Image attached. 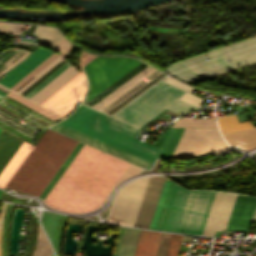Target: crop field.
I'll return each instance as SVG.
<instances>
[{
  "instance_id": "obj_31",
  "label": "crop field",
  "mask_w": 256,
  "mask_h": 256,
  "mask_svg": "<svg viewBox=\"0 0 256 256\" xmlns=\"http://www.w3.org/2000/svg\"><path fill=\"white\" fill-rule=\"evenodd\" d=\"M172 234L163 233L156 256H166Z\"/></svg>"
},
{
  "instance_id": "obj_20",
  "label": "crop field",
  "mask_w": 256,
  "mask_h": 256,
  "mask_svg": "<svg viewBox=\"0 0 256 256\" xmlns=\"http://www.w3.org/2000/svg\"><path fill=\"white\" fill-rule=\"evenodd\" d=\"M22 140L12 134L2 131L0 134V172L15 153Z\"/></svg>"
},
{
  "instance_id": "obj_39",
  "label": "crop field",
  "mask_w": 256,
  "mask_h": 256,
  "mask_svg": "<svg viewBox=\"0 0 256 256\" xmlns=\"http://www.w3.org/2000/svg\"><path fill=\"white\" fill-rule=\"evenodd\" d=\"M1 130H2V129L0 128V132H1Z\"/></svg>"
},
{
  "instance_id": "obj_29",
  "label": "crop field",
  "mask_w": 256,
  "mask_h": 256,
  "mask_svg": "<svg viewBox=\"0 0 256 256\" xmlns=\"http://www.w3.org/2000/svg\"><path fill=\"white\" fill-rule=\"evenodd\" d=\"M24 27V24H8L0 22V33L19 36Z\"/></svg>"
},
{
  "instance_id": "obj_4",
  "label": "crop field",
  "mask_w": 256,
  "mask_h": 256,
  "mask_svg": "<svg viewBox=\"0 0 256 256\" xmlns=\"http://www.w3.org/2000/svg\"><path fill=\"white\" fill-rule=\"evenodd\" d=\"M255 61L256 36L169 65L166 70L191 83Z\"/></svg>"
},
{
  "instance_id": "obj_9",
  "label": "crop field",
  "mask_w": 256,
  "mask_h": 256,
  "mask_svg": "<svg viewBox=\"0 0 256 256\" xmlns=\"http://www.w3.org/2000/svg\"><path fill=\"white\" fill-rule=\"evenodd\" d=\"M256 198L237 195L226 230L248 232Z\"/></svg>"
},
{
  "instance_id": "obj_17",
  "label": "crop field",
  "mask_w": 256,
  "mask_h": 256,
  "mask_svg": "<svg viewBox=\"0 0 256 256\" xmlns=\"http://www.w3.org/2000/svg\"><path fill=\"white\" fill-rule=\"evenodd\" d=\"M162 233L141 230L134 256H155Z\"/></svg>"
},
{
  "instance_id": "obj_11",
  "label": "crop field",
  "mask_w": 256,
  "mask_h": 256,
  "mask_svg": "<svg viewBox=\"0 0 256 256\" xmlns=\"http://www.w3.org/2000/svg\"><path fill=\"white\" fill-rule=\"evenodd\" d=\"M51 54H53V52L49 49L38 47L7 74H5L0 79V83L10 88Z\"/></svg>"
},
{
  "instance_id": "obj_15",
  "label": "crop field",
  "mask_w": 256,
  "mask_h": 256,
  "mask_svg": "<svg viewBox=\"0 0 256 256\" xmlns=\"http://www.w3.org/2000/svg\"><path fill=\"white\" fill-rule=\"evenodd\" d=\"M33 146L24 142L20 145L16 153L13 155L9 163L6 165L4 170L0 174V187L4 189L9 180L12 178L14 173L17 171L19 166L28 156Z\"/></svg>"
},
{
  "instance_id": "obj_33",
  "label": "crop field",
  "mask_w": 256,
  "mask_h": 256,
  "mask_svg": "<svg viewBox=\"0 0 256 256\" xmlns=\"http://www.w3.org/2000/svg\"><path fill=\"white\" fill-rule=\"evenodd\" d=\"M180 99L187 101L189 103H192L198 107H200L201 104L204 102L200 98L196 97L195 95H193L189 92H186Z\"/></svg>"
},
{
  "instance_id": "obj_1",
  "label": "crop field",
  "mask_w": 256,
  "mask_h": 256,
  "mask_svg": "<svg viewBox=\"0 0 256 256\" xmlns=\"http://www.w3.org/2000/svg\"><path fill=\"white\" fill-rule=\"evenodd\" d=\"M140 170L84 144L43 201L58 210L90 212L102 205L115 185Z\"/></svg>"
},
{
  "instance_id": "obj_37",
  "label": "crop field",
  "mask_w": 256,
  "mask_h": 256,
  "mask_svg": "<svg viewBox=\"0 0 256 256\" xmlns=\"http://www.w3.org/2000/svg\"><path fill=\"white\" fill-rule=\"evenodd\" d=\"M0 94L4 96L6 93H4V92L0 91Z\"/></svg>"
},
{
  "instance_id": "obj_32",
  "label": "crop field",
  "mask_w": 256,
  "mask_h": 256,
  "mask_svg": "<svg viewBox=\"0 0 256 256\" xmlns=\"http://www.w3.org/2000/svg\"><path fill=\"white\" fill-rule=\"evenodd\" d=\"M62 58L61 55L59 57H57L53 62H51L48 66H46L43 70H41L37 75H35L36 77L31 80L27 85H25L21 90H19L17 93H21L22 91H24L28 86H30L34 81H36L40 76H42L46 71H48L52 66H54L58 61H60Z\"/></svg>"
},
{
  "instance_id": "obj_38",
  "label": "crop field",
  "mask_w": 256,
  "mask_h": 256,
  "mask_svg": "<svg viewBox=\"0 0 256 256\" xmlns=\"http://www.w3.org/2000/svg\"><path fill=\"white\" fill-rule=\"evenodd\" d=\"M3 96L0 95V98H2Z\"/></svg>"
},
{
  "instance_id": "obj_36",
  "label": "crop field",
  "mask_w": 256,
  "mask_h": 256,
  "mask_svg": "<svg viewBox=\"0 0 256 256\" xmlns=\"http://www.w3.org/2000/svg\"><path fill=\"white\" fill-rule=\"evenodd\" d=\"M252 222H256V208H255V213H254V217H253V221Z\"/></svg>"
},
{
  "instance_id": "obj_6",
  "label": "crop field",
  "mask_w": 256,
  "mask_h": 256,
  "mask_svg": "<svg viewBox=\"0 0 256 256\" xmlns=\"http://www.w3.org/2000/svg\"><path fill=\"white\" fill-rule=\"evenodd\" d=\"M213 191H187L178 186L164 230L202 234Z\"/></svg>"
},
{
  "instance_id": "obj_28",
  "label": "crop field",
  "mask_w": 256,
  "mask_h": 256,
  "mask_svg": "<svg viewBox=\"0 0 256 256\" xmlns=\"http://www.w3.org/2000/svg\"><path fill=\"white\" fill-rule=\"evenodd\" d=\"M52 249L48 243V240L40 226L37 247L34 256H51Z\"/></svg>"
},
{
  "instance_id": "obj_35",
  "label": "crop field",
  "mask_w": 256,
  "mask_h": 256,
  "mask_svg": "<svg viewBox=\"0 0 256 256\" xmlns=\"http://www.w3.org/2000/svg\"><path fill=\"white\" fill-rule=\"evenodd\" d=\"M5 204H3V208H2V212H1V216H0V236H1V224H2V216H3V212H4V208H5Z\"/></svg>"
},
{
  "instance_id": "obj_5",
  "label": "crop field",
  "mask_w": 256,
  "mask_h": 256,
  "mask_svg": "<svg viewBox=\"0 0 256 256\" xmlns=\"http://www.w3.org/2000/svg\"><path fill=\"white\" fill-rule=\"evenodd\" d=\"M184 93L185 91L163 82L159 87L154 86L136 98L113 117L141 127L165 108L183 114L196 107L178 99Z\"/></svg>"
},
{
  "instance_id": "obj_27",
  "label": "crop field",
  "mask_w": 256,
  "mask_h": 256,
  "mask_svg": "<svg viewBox=\"0 0 256 256\" xmlns=\"http://www.w3.org/2000/svg\"><path fill=\"white\" fill-rule=\"evenodd\" d=\"M172 126L217 127L214 119H189V118H181Z\"/></svg>"
},
{
  "instance_id": "obj_23",
  "label": "crop field",
  "mask_w": 256,
  "mask_h": 256,
  "mask_svg": "<svg viewBox=\"0 0 256 256\" xmlns=\"http://www.w3.org/2000/svg\"><path fill=\"white\" fill-rule=\"evenodd\" d=\"M184 128H172L158 157L169 159Z\"/></svg>"
},
{
  "instance_id": "obj_26",
  "label": "crop field",
  "mask_w": 256,
  "mask_h": 256,
  "mask_svg": "<svg viewBox=\"0 0 256 256\" xmlns=\"http://www.w3.org/2000/svg\"><path fill=\"white\" fill-rule=\"evenodd\" d=\"M7 96H9V97L19 101L20 103L30 107L31 109H33V110L43 114L44 116H46V117H48V118H50V119H52L54 121H56L59 118H61V117H59V116H57V115H55V114L45 110L44 108H42V107H40V106L30 102L29 100H27V99H25V98L15 94L13 92H10Z\"/></svg>"
},
{
  "instance_id": "obj_10",
  "label": "crop field",
  "mask_w": 256,
  "mask_h": 256,
  "mask_svg": "<svg viewBox=\"0 0 256 256\" xmlns=\"http://www.w3.org/2000/svg\"><path fill=\"white\" fill-rule=\"evenodd\" d=\"M164 179L150 178L133 226L148 228Z\"/></svg>"
},
{
  "instance_id": "obj_24",
  "label": "crop field",
  "mask_w": 256,
  "mask_h": 256,
  "mask_svg": "<svg viewBox=\"0 0 256 256\" xmlns=\"http://www.w3.org/2000/svg\"><path fill=\"white\" fill-rule=\"evenodd\" d=\"M58 218H59V214L57 213L42 211L41 222L52 244L54 240V234H55Z\"/></svg>"
},
{
  "instance_id": "obj_3",
  "label": "crop field",
  "mask_w": 256,
  "mask_h": 256,
  "mask_svg": "<svg viewBox=\"0 0 256 256\" xmlns=\"http://www.w3.org/2000/svg\"><path fill=\"white\" fill-rule=\"evenodd\" d=\"M76 144L77 141L47 129L5 190L39 197Z\"/></svg>"
},
{
  "instance_id": "obj_30",
  "label": "crop field",
  "mask_w": 256,
  "mask_h": 256,
  "mask_svg": "<svg viewBox=\"0 0 256 256\" xmlns=\"http://www.w3.org/2000/svg\"><path fill=\"white\" fill-rule=\"evenodd\" d=\"M71 63L67 62L64 64L60 69H58L55 73H53L50 77H48L44 82H42L39 86H37L34 90H32L28 95H26V98L32 97L36 92H38L41 88H43L47 83H49L52 79H54L58 74H60L63 70H65Z\"/></svg>"
},
{
  "instance_id": "obj_19",
  "label": "crop field",
  "mask_w": 256,
  "mask_h": 256,
  "mask_svg": "<svg viewBox=\"0 0 256 256\" xmlns=\"http://www.w3.org/2000/svg\"><path fill=\"white\" fill-rule=\"evenodd\" d=\"M85 90L86 86H84V83L80 84L77 88H75L49 110L53 111L61 117L67 115L77 104L76 102H81Z\"/></svg>"
},
{
  "instance_id": "obj_14",
  "label": "crop field",
  "mask_w": 256,
  "mask_h": 256,
  "mask_svg": "<svg viewBox=\"0 0 256 256\" xmlns=\"http://www.w3.org/2000/svg\"><path fill=\"white\" fill-rule=\"evenodd\" d=\"M207 130L186 128L172 157L194 158Z\"/></svg>"
},
{
  "instance_id": "obj_21",
  "label": "crop field",
  "mask_w": 256,
  "mask_h": 256,
  "mask_svg": "<svg viewBox=\"0 0 256 256\" xmlns=\"http://www.w3.org/2000/svg\"><path fill=\"white\" fill-rule=\"evenodd\" d=\"M34 35L39 37V44L55 49L57 43L61 38V34L53 28L38 26ZM26 43V42H22ZM30 44V43H26Z\"/></svg>"
},
{
  "instance_id": "obj_16",
  "label": "crop field",
  "mask_w": 256,
  "mask_h": 256,
  "mask_svg": "<svg viewBox=\"0 0 256 256\" xmlns=\"http://www.w3.org/2000/svg\"><path fill=\"white\" fill-rule=\"evenodd\" d=\"M139 231L121 227L114 256H133Z\"/></svg>"
},
{
  "instance_id": "obj_12",
  "label": "crop field",
  "mask_w": 256,
  "mask_h": 256,
  "mask_svg": "<svg viewBox=\"0 0 256 256\" xmlns=\"http://www.w3.org/2000/svg\"><path fill=\"white\" fill-rule=\"evenodd\" d=\"M95 57L96 56L90 55L87 58L85 57L86 59L81 61L76 66L72 64L29 100L40 105L52 94H54L57 90H59L63 85H65L68 81H70L73 77H75L80 72L78 68L83 67L85 64H87L89 61H91Z\"/></svg>"
},
{
  "instance_id": "obj_25",
  "label": "crop field",
  "mask_w": 256,
  "mask_h": 256,
  "mask_svg": "<svg viewBox=\"0 0 256 256\" xmlns=\"http://www.w3.org/2000/svg\"><path fill=\"white\" fill-rule=\"evenodd\" d=\"M83 146V143L78 142V144L75 146V148L73 149V151L70 153V155L68 156V158L65 160V162L63 163V165L60 167V169L58 170V172L55 174V176L53 177V179L50 181V183L48 184V186L45 188V190L43 191V193L40 195L41 197H45L46 194L49 192V190L52 188V186L55 184V182L57 181V179L60 177V175L63 173V171L66 169V167L69 165V163L71 162V160L74 158V156L77 154V152L80 150V148ZM45 199V198H44Z\"/></svg>"
},
{
  "instance_id": "obj_7",
  "label": "crop field",
  "mask_w": 256,
  "mask_h": 256,
  "mask_svg": "<svg viewBox=\"0 0 256 256\" xmlns=\"http://www.w3.org/2000/svg\"><path fill=\"white\" fill-rule=\"evenodd\" d=\"M141 62L132 57H96L81 68L87 82V90L82 103H87Z\"/></svg>"
},
{
  "instance_id": "obj_22",
  "label": "crop field",
  "mask_w": 256,
  "mask_h": 256,
  "mask_svg": "<svg viewBox=\"0 0 256 256\" xmlns=\"http://www.w3.org/2000/svg\"><path fill=\"white\" fill-rule=\"evenodd\" d=\"M84 80L85 77L83 75V72H81L69 83H67L64 87H62L58 92H56L53 96H51L48 100L41 104V106L49 109L60 99H62L65 95H67L70 91H72L75 87H77L80 83H82Z\"/></svg>"
},
{
  "instance_id": "obj_8",
  "label": "crop field",
  "mask_w": 256,
  "mask_h": 256,
  "mask_svg": "<svg viewBox=\"0 0 256 256\" xmlns=\"http://www.w3.org/2000/svg\"><path fill=\"white\" fill-rule=\"evenodd\" d=\"M221 132L231 146L250 150L256 147V128L250 121L238 123L235 115L218 119Z\"/></svg>"
},
{
  "instance_id": "obj_40",
  "label": "crop field",
  "mask_w": 256,
  "mask_h": 256,
  "mask_svg": "<svg viewBox=\"0 0 256 256\" xmlns=\"http://www.w3.org/2000/svg\"><path fill=\"white\" fill-rule=\"evenodd\" d=\"M1 192V191H0Z\"/></svg>"
},
{
  "instance_id": "obj_18",
  "label": "crop field",
  "mask_w": 256,
  "mask_h": 256,
  "mask_svg": "<svg viewBox=\"0 0 256 256\" xmlns=\"http://www.w3.org/2000/svg\"><path fill=\"white\" fill-rule=\"evenodd\" d=\"M231 149L220 137L217 129H209L196 156L222 153ZM195 156V157H196Z\"/></svg>"
},
{
  "instance_id": "obj_34",
  "label": "crop field",
  "mask_w": 256,
  "mask_h": 256,
  "mask_svg": "<svg viewBox=\"0 0 256 256\" xmlns=\"http://www.w3.org/2000/svg\"><path fill=\"white\" fill-rule=\"evenodd\" d=\"M163 81L167 82V83H170V84H173L181 89H184V90H187L188 88H190V86L188 85H185L175 79H173L172 77L170 76H167L166 78L163 79Z\"/></svg>"
},
{
  "instance_id": "obj_13",
  "label": "crop field",
  "mask_w": 256,
  "mask_h": 256,
  "mask_svg": "<svg viewBox=\"0 0 256 256\" xmlns=\"http://www.w3.org/2000/svg\"><path fill=\"white\" fill-rule=\"evenodd\" d=\"M178 184L166 179L149 228L163 230Z\"/></svg>"
},
{
  "instance_id": "obj_2",
  "label": "crop field",
  "mask_w": 256,
  "mask_h": 256,
  "mask_svg": "<svg viewBox=\"0 0 256 256\" xmlns=\"http://www.w3.org/2000/svg\"><path fill=\"white\" fill-rule=\"evenodd\" d=\"M52 129L150 169L160 149L134 138L141 129L80 105Z\"/></svg>"
}]
</instances>
